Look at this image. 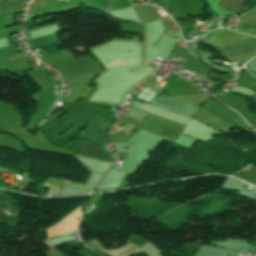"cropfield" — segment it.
Returning a JSON list of instances; mask_svg holds the SVG:
<instances>
[{"instance_id":"crop-field-5","label":"crop field","mask_w":256,"mask_h":256,"mask_svg":"<svg viewBox=\"0 0 256 256\" xmlns=\"http://www.w3.org/2000/svg\"><path fill=\"white\" fill-rule=\"evenodd\" d=\"M129 241L136 244L139 247L142 246V244L147 242L146 239L136 236V235H132V234H131V237L129 238Z\"/></svg>"},{"instance_id":"crop-field-6","label":"crop field","mask_w":256,"mask_h":256,"mask_svg":"<svg viewBox=\"0 0 256 256\" xmlns=\"http://www.w3.org/2000/svg\"><path fill=\"white\" fill-rule=\"evenodd\" d=\"M63 45L61 42L58 43V44H54V45H51V46H47V47H43L41 48L42 49V52L43 54H49V53H52V52H56V48Z\"/></svg>"},{"instance_id":"crop-field-4","label":"crop field","mask_w":256,"mask_h":256,"mask_svg":"<svg viewBox=\"0 0 256 256\" xmlns=\"http://www.w3.org/2000/svg\"><path fill=\"white\" fill-rule=\"evenodd\" d=\"M245 2L246 0H220L218 4L230 12L238 13L243 11Z\"/></svg>"},{"instance_id":"crop-field-7","label":"crop field","mask_w":256,"mask_h":256,"mask_svg":"<svg viewBox=\"0 0 256 256\" xmlns=\"http://www.w3.org/2000/svg\"><path fill=\"white\" fill-rule=\"evenodd\" d=\"M109 0H104V5L102 7V10H106L108 6Z\"/></svg>"},{"instance_id":"crop-field-1","label":"crop field","mask_w":256,"mask_h":256,"mask_svg":"<svg viewBox=\"0 0 256 256\" xmlns=\"http://www.w3.org/2000/svg\"><path fill=\"white\" fill-rule=\"evenodd\" d=\"M137 99L147 101L188 116L193 115L199 108L198 106L185 104L174 98L155 93L147 88L139 95Z\"/></svg>"},{"instance_id":"crop-field-2","label":"crop field","mask_w":256,"mask_h":256,"mask_svg":"<svg viewBox=\"0 0 256 256\" xmlns=\"http://www.w3.org/2000/svg\"><path fill=\"white\" fill-rule=\"evenodd\" d=\"M217 48L225 56H235L256 49V39L250 37L242 43Z\"/></svg>"},{"instance_id":"crop-field-3","label":"crop field","mask_w":256,"mask_h":256,"mask_svg":"<svg viewBox=\"0 0 256 256\" xmlns=\"http://www.w3.org/2000/svg\"><path fill=\"white\" fill-rule=\"evenodd\" d=\"M193 118L217 129L227 132L232 125H230L228 122L204 111L202 108L199 110V112L193 116Z\"/></svg>"},{"instance_id":"crop-field-8","label":"crop field","mask_w":256,"mask_h":256,"mask_svg":"<svg viewBox=\"0 0 256 256\" xmlns=\"http://www.w3.org/2000/svg\"><path fill=\"white\" fill-rule=\"evenodd\" d=\"M0 131H1V129H0Z\"/></svg>"}]
</instances>
